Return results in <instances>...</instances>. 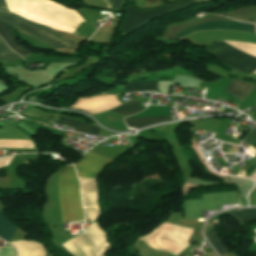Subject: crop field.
<instances>
[{"instance_id": "1", "label": "crop field", "mask_w": 256, "mask_h": 256, "mask_svg": "<svg viewBox=\"0 0 256 256\" xmlns=\"http://www.w3.org/2000/svg\"><path fill=\"white\" fill-rule=\"evenodd\" d=\"M0 10L9 11L6 0H0ZM7 25H12L21 33L35 37L39 41L49 46H52L55 49L79 46L78 43H75L67 39L63 35L54 32L53 30L47 28L46 26L31 21H27L15 14L0 11V35L9 45V47H11L15 52L21 55L27 56L31 52H29L26 48L18 44L13 39L11 29Z\"/></svg>"}, {"instance_id": "2", "label": "crop field", "mask_w": 256, "mask_h": 256, "mask_svg": "<svg viewBox=\"0 0 256 256\" xmlns=\"http://www.w3.org/2000/svg\"><path fill=\"white\" fill-rule=\"evenodd\" d=\"M59 200L63 223L83 220L80 187L72 165L60 170Z\"/></svg>"}, {"instance_id": "3", "label": "crop field", "mask_w": 256, "mask_h": 256, "mask_svg": "<svg viewBox=\"0 0 256 256\" xmlns=\"http://www.w3.org/2000/svg\"><path fill=\"white\" fill-rule=\"evenodd\" d=\"M195 2H196L195 0H183V1L171 4V5L163 6V7L153 9V10H148V11H141L138 8H136L135 6H132L128 16L126 15L127 22L122 31L129 34L130 32L134 31L135 29L139 28L140 26L144 25L145 23H147L157 17L178 11V10L188 6L189 4L195 3ZM131 5H133L132 0H131ZM131 5L128 6L124 10L129 11ZM124 19L126 21V17ZM125 21L123 22V25H124ZM125 35L126 34L121 32V37H123Z\"/></svg>"}, {"instance_id": "4", "label": "crop field", "mask_w": 256, "mask_h": 256, "mask_svg": "<svg viewBox=\"0 0 256 256\" xmlns=\"http://www.w3.org/2000/svg\"><path fill=\"white\" fill-rule=\"evenodd\" d=\"M207 52L232 67L249 74L256 69V57L243 53L222 41L208 47Z\"/></svg>"}, {"instance_id": "5", "label": "crop field", "mask_w": 256, "mask_h": 256, "mask_svg": "<svg viewBox=\"0 0 256 256\" xmlns=\"http://www.w3.org/2000/svg\"><path fill=\"white\" fill-rule=\"evenodd\" d=\"M112 159L89 152L79 163L75 164L79 177L97 178L102 169Z\"/></svg>"}, {"instance_id": "6", "label": "crop field", "mask_w": 256, "mask_h": 256, "mask_svg": "<svg viewBox=\"0 0 256 256\" xmlns=\"http://www.w3.org/2000/svg\"><path fill=\"white\" fill-rule=\"evenodd\" d=\"M254 88L255 85L253 84L240 82L234 79L231 84L226 87L225 91L243 101Z\"/></svg>"}, {"instance_id": "7", "label": "crop field", "mask_w": 256, "mask_h": 256, "mask_svg": "<svg viewBox=\"0 0 256 256\" xmlns=\"http://www.w3.org/2000/svg\"><path fill=\"white\" fill-rule=\"evenodd\" d=\"M58 123L62 125L75 127L76 131H80V132L95 135V136H97L100 131V128L98 127H95L77 120L61 117V116L59 118Z\"/></svg>"}, {"instance_id": "8", "label": "crop field", "mask_w": 256, "mask_h": 256, "mask_svg": "<svg viewBox=\"0 0 256 256\" xmlns=\"http://www.w3.org/2000/svg\"><path fill=\"white\" fill-rule=\"evenodd\" d=\"M17 226L9 221L3 210L0 211V236L5 239L7 242L11 239L13 232Z\"/></svg>"}, {"instance_id": "9", "label": "crop field", "mask_w": 256, "mask_h": 256, "mask_svg": "<svg viewBox=\"0 0 256 256\" xmlns=\"http://www.w3.org/2000/svg\"><path fill=\"white\" fill-rule=\"evenodd\" d=\"M169 120V116L126 119L127 126L141 128L146 125Z\"/></svg>"}, {"instance_id": "10", "label": "crop field", "mask_w": 256, "mask_h": 256, "mask_svg": "<svg viewBox=\"0 0 256 256\" xmlns=\"http://www.w3.org/2000/svg\"><path fill=\"white\" fill-rule=\"evenodd\" d=\"M125 90L132 92L157 91V81L128 83Z\"/></svg>"}, {"instance_id": "11", "label": "crop field", "mask_w": 256, "mask_h": 256, "mask_svg": "<svg viewBox=\"0 0 256 256\" xmlns=\"http://www.w3.org/2000/svg\"><path fill=\"white\" fill-rule=\"evenodd\" d=\"M139 104H140V102L131 101L122 106L114 108L110 111L129 116V115L135 114V113L141 111L142 109H144V108L140 107Z\"/></svg>"}, {"instance_id": "12", "label": "crop field", "mask_w": 256, "mask_h": 256, "mask_svg": "<svg viewBox=\"0 0 256 256\" xmlns=\"http://www.w3.org/2000/svg\"><path fill=\"white\" fill-rule=\"evenodd\" d=\"M240 224L256 219V209H244L242 211L230 214Z\"/></svg>"}, {"instance_id": "13", "label": "crop field", "mask_w": 256, "mask_h": 256, "mask_svg": "<svg viewBox=\"0 0 256 256\" xmlns=\"http://www.w3.org/2000/svg\"><path fill=\"white\" fill-rule=\"evenodd\" d=\"M207 239L212 244V246L218 251L220 255L227 252L224 246L221 244V242L217 238V236L215 235L213 228L210 229V231L208 232Z\"/></svg>"}, {"instance_id": "14", "label": "crop field", "mask_w": 256, "mask_h": 256, "mask_svg": "<svg viewBox=\"0 0 256 256\" xmlns=\"http://www.w3.org/2000/svg\"><path fill=\"white\" fill-rule=\"evenodd\" d=\"M0 59L2 60H14L20 59L14 52H12L0 38Z\"/></svg>"}, {"instance_id": "15", "label": "crop field", "mask_w": 256, "mask_h": 256, "mask_svg": "<svg viewBox=\"0 0 256 256\" xmlns=\"http://www.w3.org/2000/svg\"><path fill=\"white\" fill-rule=\"evenodd\" d=\"M245 142L253 145L256 147V126L254 127V129L250 132V134L248 135V137L245 139Z\"/></svg>"}, {"instance_id": "16", "label": "crop field", "mask_w": 256, "mask_h": 256, "mask_svg": "<svg viewBox=\"0 0 256 256\" xmlns=\"http://www.w3.org/2000/svg\"><path fill=\"white\" fill-rule=\"evenodd\" d=\"M121 0H113V7L112 8H119Z\"/></svg>"}, {"instance_id": "17", "label": "crop field", "mask_w": 256, "mask_h": 256, "mask_svg": "<svg viewBox=\"0 0 256 256\" xmlns=\"http://www.w3.org/2000/svg\"><path fill=\"white\" fill-rule=\"evenodd\" d=\"M156 1H162V0H146L147 4L154 3Z\"/></svg>"}]
</instances>
